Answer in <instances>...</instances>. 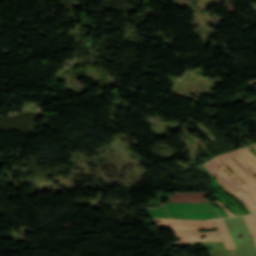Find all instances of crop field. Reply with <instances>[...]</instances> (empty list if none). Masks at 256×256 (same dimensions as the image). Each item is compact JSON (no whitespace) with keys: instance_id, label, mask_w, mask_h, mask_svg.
Wrapping results in <instances>:
<instances>
[{"instance_id":"crop-field-8","label":"crop field","mask_w":256,"mask_h":256,"mask_svg":"<svg viewBox=\"0 0 256 256\" xmlns=\"http://www.w3.org/2000/svg\"><path fill=\"white\" fill-rule=\"evenodd\" d=\"M229 155L254 179L256 180V177L251 173V171L256 175L255 169L242 157L240 156L236 151L229 153ZM251 170H249V169Z\"/></svg>"},{"instance_id":"crop-field-5","label":"crop field","mask_w":256,"mask_h":256,"mask_svg":"<svg viewBox=\"0 0 256 256\" xmlns=\"http://www.w3.org/2000/svg\"><path fill=\"white\" fill-rule=\"evenodd\" d=\"M181 240L176 241L177 244L199 241H222L218 232H199L197 230H175ZM206 235L208 238L200 239Z\"/></svg>"},{"instance_id":"crop-field-7","label":"crop field","mask_w":256,"mask_h":256,"mask_svg":"<svg viewBox=\"0 0 256 256\" xmlns=\"http://www.w3.org/2000/svg\"><path fill=\"white\" fill-rule=\"evenodd\" d=\"M224 240L226 249H236L222 219L214 220Z\"/></svg>"},{"instance_id":"crop-field-2","label":"crop field","mask_w":256,"mask_h":256,"mask_svg":"<svg viewBox=\"0 0 256 256\" xmlns=\"http://www.w3.org/2000/svg\"><path fill=\"white\" fill-rule=\"evenodd\" d=\"M223 220L237 249H256L255 243L242 216ZM241 233L243 236L238 239L237 236Z\"/></svg>"},{"instance_id":"crop-field-9","label":"crop field","mask_w":256,"mask_h":256,"mask_svg":"<svg viewBox=\"0 0 256 256\" xmlns=\"http://www.w3.org/2000/svg\"><path fill=\"white\" fill-rule=\"evenodd\" d=\"M256 243V214L243 216Z\"/></svg>"},{"instance_id":"crop-field-1","label":"crop field","mask_w":256,"mask_h":256,"mask_svg":"<svg viewBox=\"0 0 256 256\" xmlns=\"http://www.w3.org/2000/svg\"><path fill=\"white\" fill-rule=\"evenodd\" d=\"M213 164L217 167V169L222 173L224 174L230 181V182L224 175H222L217 169L216 167L212 164ZM210 162L206 163L205 165H203L210 173L212 172H215L217 175H219L226 183L227 185L231 188L233 186V188H229L225 182L219 177L217 176L215 173H213L212 175L214 176V178L221 184V186L227 190L230 194H232L234 197H236L239 201H241L249 210L251 213H254L256 212V199L246 190L244 189L242 186H240L236 181L235 179L228 175L213 159L211 160ZM255 203L253 204L250 199Z\"/></svg>"},{"instance_id":"crop-field-10","label":"crop field","mask_w":256,"mask_h":256,"mask_svg":"<svg viewBox=\"0 0 256 256\" xmlns=\"http://www.w3.org/2000/svg\"><path fill=\"white\" fill-rule=\"evenodd\" d=\"M237 152L256 168V157H254L246 148L237 150Z\"/></svg>"},{"instance_id":"crop-field-6","label":"crop field","mask_w":256,"mask_h":256,"mask_svg":"<svg viewBox=\"0 0 256 256\" xmlns=\"http://www.w3.org/2000/svg\"><path fill=\"white\" fill-rule=\"evenodd\" d=\"M208 192H177L172 194L169 202H209L204 196H209Z\"/></svg>"},{"instance_id":"crop-field-12","label":"crop field","mask_w":256,"mask_h":256,"mask_svg":"<svg viewBox=\"0 0 256 256\" xmlns=\"http://www.w3.org/2000/svg\"><path fill=\"white\" fill-rule=\"evenodd\" d=\"M256 149V144L252 145Z\"/></svg>"},{"instance_id":"crop-field-11","label":"crop field","mask_w":256,"mask_h":256,"mask_svg":"<svg viewBox=\"0 0 256 256\" xmlns=\"http://www.w3.org/2000/svg\"><path fill=\"white\" fill-rule=\"evenodd\" d=\"M217 205H219L223 210H225L230 216H234L231 212H229L221 203L215 202Z\"/></svg>"},{"instance_id":"crop-field-3","label":"crop field","mask_w":256,"mask_h":256,"mask_svg":"<svg viewBox=\"0 0 256 256\" xmlns=\"http://www.w3.org/2000/svg\"><path fill=\"white\" fill-rule=\"evenodd\" d=\"M214 159L228 173L231 174V172L224 166L223 163H225L245 184L240 179H238L234 174L231 175L256 198V182L250 176H248L228 154L216 157Z\"/></svg>"},{"instance_id":"crop-field-4","label":"crop field","mask_w":256,"mask_h":256,"mask_svg":"<svg viewBox=\"0 0 256 256\" xmlns=\"http://www.w3.org/2000/svg\"><path fill=\"white\" fill-rule=\"evenodd\" d=\"M163 220L164 222H157L161 229L174 227V229H208L216 228L213 220L206 221H189L177 219H154Z\"/></svg>"}]
</instances>
